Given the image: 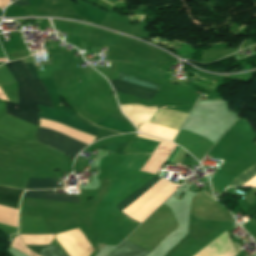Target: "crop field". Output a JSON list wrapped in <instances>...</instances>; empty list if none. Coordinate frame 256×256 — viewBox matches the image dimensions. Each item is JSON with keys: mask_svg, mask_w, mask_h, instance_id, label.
<instances>
[{"mask_svg": "<svg viewBox=\"0 0 256 256\" xmlns=\"http://www.w3.org/2000/svg\"><path fill=\"white\" fill-rule=\"evenodd\" d=\"M35 78L36 70L32 57L23 58ZM22 59L5 64L18 83L19 105L6 101V113L37 126V104L53 107L46 86L35 79ZM54 108V107H53Z\"/></svg>", "mask_w": 256, "mask_h": 256, "instance_id": "8a807250", "label": "crop field"}, {"mask_svg": "<svg viewBox=\"0 0 256 256\" xmlns=\"http://www.w3.org/2000/svg\"><path fill=\"white\" fill-rule=\"evenodd\" d=\"M37 139L40 142L70 156L71 158H74L87 146V144L66 135L40 127L38 129Z\"/></svg>", "mask_w": 256, "mask_h": 256, "instance_id": "ac0d7876", "label": "crop field"}, {"mask_svg": "<svg viewBox=\"0 0 256 256\" xmlns=\"http://www.w3.org/2000/svg\"><path fill=\"white\" fill-rule=\"evenodd\" d=\"M36 129V126L7 114L0 118V136L15 143L36 141Z\"/></svg>", "mask_w": 256, "mask_h": 256, "instance_id": "34b2d1b8", "label": "crop field"}, {"mask_svg": "<svg viewBox=\"0 0 256 256\" xmlns=\"http://www.w3.org/2000/svg\"><path fill=\"white\" fill-rule=\"evenodd\" d=\"M39 110L41 113H39L40 118L42 119H48V120H53L58 123L64 124L66 126L72 127L74 129L83 131L85 133L91 134L95 137L100 133L102 130L101 128L98 127H90L87 126L81 122H78L71 117L72 113L67 112V111H62L58 109H52L44 106L38 105Z\"/></svg>", "mask_w": 256, "mask_h": 256, "instance_id": "412701ff", "label": "crop field"}, {"mask_svg": "<svg viewBox=\"0 0 256 256\" xmlns=\"http://www.w3.org/2000/svg\"><path fill=\"white\" fill-rule=\"evenodd\" d=\"M110 82L114 87L115 91L117 92L125 93L147 100L151 99L157 93V90L149 89L120 80H110Z\"/></svg>", "mask_w": 256, "mask_h": 256, "instance_id": "f4fd0767", "label": "crop field"}, {"mask_svg": "<svg viewBox=\"0 0 256 256\" xmlns=\"http://www.w3.org/2000/svg\"><path fill=\"white\" fill-rule=\"evenodd\" d=\"M186 116L187 114L182 112L161 110L155 112L152 118L155 119L153 123L178 130Z\"/></svg>", "mask_w": 256, "mask_h": 256, "instance_id": "dd49c442", "label": "crop field"}, {"mask_svg": "<svg viewBox=\"0 0 256 256\" xmlns=\"http://www.w3.org/2000/svg\"><path fill=\"white\" fill-rule=\"evenodd\" d=\"M23 197L27 198H36V199H45V200H54V201H63V202H72L80 203L78 196L71 195H54L53 190L49 191H26Z\"/></svg>", "mask_w": 256, "mask_h": 256, "instance_id": "e52e79f7", "label": "crop field"}, {"mask_svg": "<svg viewBox=\"0 0 256 256\" xmlns=\"http://www.w3.org/2000/svg\"><path fill=\"white\" fill-rule=\"evenodd\" d=\"M23 191L24 190L0 186V205L18 209Z\"/></svg>", "mask_w": 256, "mask_h": 256, "instance_id": "d8731c3e", "label": "crop field"}, {"mask_svg": "<svg viewBox=\"0 0 256 256\" xmlns=\"http://www.w3.org/2000/svg\"><path fill=\"white\" fill-rule=\"evenodd\" d=\"M160 178L155 177L149 183H147L144 187H142L139 191L135 194L130 196L129 198L125 199L121 203H119L117 208L122 213V215L131 207L133 206L151 187H153ZM134 220V219H133ZM136 221V220H135ZM138 222V221H137ZM140 223V222H139Z\"/></svg>", "mask_w": 256, "mask_h": 256, "instance_id": "5a996713", "label": "crop field"}, {"mask_svg": "<svg viewBox=\"0 0 256 256\" xmlns=\"http://www.w3.org/2000/svg\"><path fill=\"white\" fill-rule=\"evenodd\" d=\"M148 254L149 252L124 240L109 256H148Z\"/></svg>", "mask_w": 256, "mask_h": 256, "instance_id": "3316defc", "label": "crop field"}, {"mask_svg": "<svg viewBox=\"0 0 256 256\" xmlns=\"http://www.w3.org/2000/svg\"><path fill=\"white\" fill-rule=\"evenodd\" d=\"M96 125L102 128H106V129H110V130H114L122 133L136 132L133 125L124 123L115 119H111L108 117L104 118L103 120L98 122Z\"/></svg>", "mask_w": 256, "mask_h": 256, "instance_id": "28ad6ade", "label": "crop field"}, {"mask_svg": "<svg viewBox=\"0 0 256 256\" xmlns=\"http://www.w3.org/2000/svg\"><path fill=\"white\" fill-rule=\"evenodd\" d=\"M137 136L142 137V138H146V139H150V140H154V141H158V142L161 141L159 139H155V138H151V137H147V136H143V135H139V134H137ZM157 145H158L157 142H153V141H149V140H145V139L135 137V139L133 140V142L130 144L129 147L135 148V149H140V150H145V151H149V152H153V150L155 149V147Z\"/></svg>", "mask_w": 256, "mask_h": 256, "instance_id": "d1516ede", "label": "crop field"}, {"mask_svg": "<svg viewBox=\"0 0 256 256\" xmlns=\"http://www.w3.org/2000/svg\"><path fill=\"white\" fill-rule=\"evenodd\" d=\"M49 188H57L56 178H51V179L29 178L26 189H49Z\"/></svg>", "mask_w": 256, "mask_h": 256, "instance_id": "22f410ed", "label": "crop field"}, {"mask_svg": "<svg viewBox=\"0 0 256 256\" xmlns=\"http://www.w3.org/2000/svg\"><path fill=\"white\" fill-rule=\"evenodd\" d=\"M119 79L131 82V83L139 84V85H142V86H146V87H149V88L157 89V90H159V88H160V85H158V84H155L153 82L147 81V80L142 79L140 77L133 76V75L123 73V72H120V71H119Z\"/></svg>", "mask_w": 256, "mask_h": 256, "instance_id": "cbeb9de0", "label": "crop field"}, {"mask_svg": "<svg viewBox=\"0 0 256 256\" xmlns=\"http://www.w3.org/2000/svg\"><path fill=\"white\" fill-rule=\"evenodd\" d=\"M254 175H256V163L253 164L249 169H247L244 173H242L240 176H238L235 181L230 186H240L244 182L248 181L250 178H252Z\"/></svg>", "mask_w": 256, "mask_h": 256, "instance_id": "5142ce71", "label": "crop field"}, {"mask_svg": "<svg viewBox=\"0 0 256 256\" xmlns=\"http://www.w3.org/2000/svg\"><path fill=\"white\" fill-rule=\"evenodd\" d=\"M12 5H30L28 0H17Z\"/></svg>", "mask_w": 256, "mask_h": 256, "instance_id": "d9b57169", "label": "crop field"}, {"mask_svg": "<svg viewBox=\"0 0 256 256\" xmlns=\"http://www.w3.org/2000/svg\"><path fill=\"white\" fill-rule=\"evenodd\" d=\"M14 1V0H11V2Z\"/></svg>", "mask_w": 256, "mask_h": 256, "instance_id": "733c2abd", "label": "crop field"}]
</instances>
